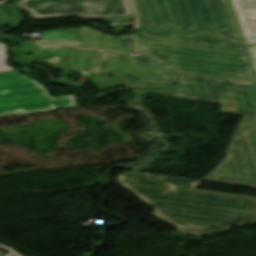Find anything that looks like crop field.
Wrapping results in <instances>:
<instances>
[{"mask_svg": "<svg viewBox=\"0 0 256 256\" xmlns=\"http://www.w3.org/2000/svg\"><path fill=\"white\" fill-rule=\"evenodd\" d=\"M124 172L118 184L152 205L154 217L174 225L179 232L204 235L256 222V198L194 190L199 181Z\"/></svg>", "mask_w": 256, "mask_h": 256, "instance_id": "crop-field-1", "label": "crop field"}, {"mask_svg": "<svg viewBox=\"0 0 256 256\" xmlns=\"http://www.w3.org/2000/svg\"><path fill=\"white\" fill-rule=\"evenodd\" d=\"M177 88L171 96L216 103L220 111L244 115L228 148L226 158L204 179L206 181L256 187V85L194 74L172 72Z\"/></svg>", "mask_w": 256, "mask_h": 256, "instance_id": "crop-field-2", "label": "crop field"}, {"mask_svg": "<svg viewBox=\"0 0 256 256\" xmlns=\"http://www.w3.org/2000/svg\"><path fill=\"white\" fill-rule=\"evenodd\" d=\"M137 47L168 70L256 81L245 47L214 37L147 31L139 35Z\"/></svg>", "mask_w": 256, "mask_h": 256, "instance_id": "crop-field-3", "label": "crop field"}, {"mask_svg": "<svg viewBox=\"0 0 256 256\" xmlns=\"http://www.w3.org/2000/svg\"><path fill=\"white\" fill-rule=\"evenodd\" d=\"M140 26L210 33L244 44L227 0H134Z\"/></svg>", "mask_w": 256, "mask_h": 256, "instance_id": "crop-field-4", "label": "crop field"}, {"mask_svg": "<svg viewBox=\"0 0 256 256\" xmlns=\"http://www.w3.org/2000/svg\"><path fill=\"white\" fill-rule=\"evenodd\" d=\"M74 107L73 95L52 98L35 80L15 71L0 72V116Z\"/></svg>", "mask_w": 256, "mask_h": 256, "instance_id": "crop-field-5", "label": "crop field"}, {"mask_svg": "<svg viewBox=\"0 0 256 256\" xmlns=\"http://www.w3.org/2000/svg\"><path fill=\"white\" fill-rule=\"evenodd\" d=\"M34 19L78 16L83 20L134 15L131 0H21Z\"/></svg>", "mask_w": 256, "mask_h": 256, "instance_id": "crop-field-6", "label": "crop field"}, {"mask_svg": "<svg viewBox=\"0 0 256 256\" xmlns=\"http://www.w3.org/2000/svg\"><path fill=\"white\" fill-rule=\"evenodd\" d=\"M111 73L136 84H168L171 75L149 57H134L123 53L101 52L91 74Z\"/></svg>", "mask_w": 256, "mask_h": 256, "instance_id": "crop-field-7", "label": "crop field"}, {"mask_svg": "<svg viewBox=\"0 0 256 256\" xmlns=\"http://www.w3.org/2000/svg\"><path fill=\"white\" fill-rule=\"evenodd\" d=\"M82 47L105 49L119 52H132L135 50L129 35L117 37L104 35L90 27H80Z\"/></svg>", "mask_w": 256, "mask_h": 256, "instance_id": "crop-field-8", "label": "crop field"}, {"mask_svg": "<svg viewBox=\"0 0 256 256\" xmlns=\"http://www.w3.org/2000/svg\"><path fill=\"white\" fill-rule=\"evenodd\" d=\"M248 44L256 43V0H231Z\"/></svg>", "mask_w": 256, "mask_h": 256, "instance_id": "crop-field-9", "label": "crop field"}, {"mask_svg": "<svg viewBox=\"0 0 256 256\" xmlns=\"http://www.w3.org/2000/svg\"><path fill=\"white\" fill-rule=\"evenodd\" d=\"M6 56H5V45L0 43V71L13 70L12 67L5 65Z\"/></svg>", "mask_w": 256, "mask_h": 256, "instance_id": "crop-field-10", "label": "crop field"}, {"mask_svg": "<svg viewBox=\"0 0 256 256\" xmlns=\"http://www.w3.org/2000/svg\"><path fill=\"white\" fill-rule=\"evenodd\" d=\"M250 49H251V51L253 53V56H254V59H255V63H256V45L250 46Z\"/></svg>", "mask_w": 256, "mask_h": 256, "instance_id": "crop-field-11", "label": "crop field"}, {"mask_svg": "<svg viewBox=\"0 0 256 256\" xmlns=\"http://www.w3.org/2000/svg\"><path fill=\"white\" fill-rule=\"evenodd\" d=\"M223 102H224V99L222 98L219 102H217V103H219V104H223Z\"/></svg>", "mask_w": 256, "mask_h": 256, "instance_id": "crop-field-12", "label": "crop field"}]
</instances>
